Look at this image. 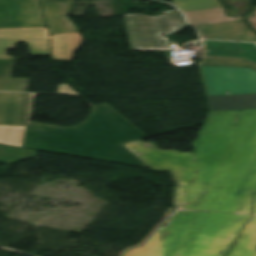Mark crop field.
Returning <instances> with one entry per match:
<instances>
[{"label":"crop field","instance_id":"crop-field-1","mask_svg":"<svg viewBox=\"0 0 256 256\" xmlns=\"http://www.w3.org/2000/svg\"><path fill=\"white\" fill-rule=\"evenodd\" d=\"M195 153L161 151L141 139L123 143L155 171L169 169L179 183L178 209L143 246L124 256H223L251 212L256 214V110L210 111ZM145 164V165H146ZM225 256H256V216Z\"/></svg>","mask_w":256,"mask_h":256},{"label":"crop field","instance_id":"crop-field-2","mask_svg":"<svg viewBox=\"0 0 256 256\" xmlns=\"http://www.w3.org/2000/svg\"><path fill=\"white\" fill-rule=\"evenodd\" d=\"M144 138L107 104L92 108L80 126L62 128L28 121L23 147L146 167L122 142Z\"/></svg>","mask_w":256,"mask_h":256},{"label":"crop field","instance_id":"crop-field-3","mask_svg":"<svg viewBox=\"0 0 256 256\" xmlns=\"http://www.w3.org/2000/svg\"><path fill=\"white\" fill-rule=\"evenodd\" d=\"M19 42L29 44L32 56H50L46 28L0 29V91H27L29 79L11 78L15 58L7 56V50Z\"/></svg>","mask_w":256,"mask_h":256},{"label":"crop field","instance_id":"crop-field-4","mask_svg":"<svg viewBox=\"0 0 256 256\" xmlns=\"http://www.w3.org/2000/svg\"><path fill=\"white\" fill-rule=\"evenodd\" d=\"M125 19L132 50H171L166 36L187 27L181 13L158 17L134 14Z\"/></svg>","mask_w":256,"mask_h":256},{"label":"crop field","instance_id":"crop-field-5","mask_svg":"<svg viewBox=\"0 0 256 256\" xmlns=\"http://www.w3.org/2000/svg\"><path fill=\"white\" fill-rule=\"evenodd\" d=\"M30 94L0 93V144L22 147Z\"/></svg>","mask_w":256,"mask_h":256},{"label":"crop field","instance_id":"crop-field-6","mask_svg":"<svg viewBox=\"0 0 256 256\" xmlns=\"http://www.w3.org/2000/svg\"><path fill=\"white\" fill-rule=\"evenodd\" d=\"M210 95L256 93V71L240 67L202 66Z\"/></svg>","mask_w":256,"mask_h":256},{"label":"crop field","instance_id":"crop-field-7","mask_svg":"<svg viewBox=\"0 0 256 256\" xmlns=\"http://www.w3.org/2000/svg\"><path fill=\"white\" fill-rule=\"evenodd\" d=\"M189 23L198 28L202 38L239 40L249 29L242 18L225 16L223 9L185 13Z\"/></svg>","mask_w":256,"mask_h":256},{"label":"crop field","instance_id":"crop-field-8","mask_svg":"<svg viewBox=\"0 0 256 256\" xmlns=\"http://www.w3.org/2000/svg\"><path fill=\"white\" fill-rule=\"evenodd\" d=\"M46 27L38 0H0V28Z\"/></svg>","mask_w":256,"mask_h":256},{"label":"crop field","instance_id":"crop-field-9","mask_svg":"<svg viewBox=\"0 0 256 256\" xmlns=\"http://www.w3.org/2000/svg\"><path fill=\"white\" fill-rule=\"evenodd\" d=\"M51 33L80 31L67 15L74 2L41 4Z\"/></svg>","mask_w":256,"mask_h":256},{"label":"crop field","instance_id":"crop-field-10","mask_svg":"<svg viewBox=\"0 0 256 256\" xmlns=\"http://www.w3.org/2000/svg\"><path fill=\"white\" fill-rule=\"evenodd\" d=\"M82 43L79 32L52 34L53 60L74 61Z\"/></svg>","mask_w":256,"mask_h":256},{"label":"crop field","instance_id":"crop-field-11","mask_svg":"<svg viewBox=\"0 0 256 256\" xmlns=\"http://www.w3.org/2000/svg\"><path fill=\"white\" fill-rule=\"evenodd\" d=\"M211 110L255 109L256 94L209 96Z\"/></svg>","mask_w":256,"mask_h":256},{"label":"crop field","instance_id":"crop-field-12","mask_svg":"<svg viewBox=\"0 0 256 256\" xmlns=\"http://www.w3.org/2000/svg\"><path fill=\"white\" fill-rule=\"evenodd\" d=\"M206 54L212 56L242 57L240 43L204 41Z\"/></svg>","mask_w":256,"mask_h":256},{"label":"crop field","instance_id":"crop-field-13","mask_svg":"<svg viewBox=\"0 0 256 256\" xmlns=\"http://www.w3.org/2000/svg\"><path fill=\"white\" fill-rule=\"evenodd\" d=\"M184 12L222 7L219 0H173Z\"/></svg>","mask_w":256,"mask_h":256},{"label":"crop field","instance_id":"crop-field-14","mask_svg":"<svg viewBox=\"0 0 256 256\" xmlns=\"http://www.w3.org/2000/svg\"><path fill=\"white\" fill-rule=\"evenodd\" d=\"M243 56L256 62V44L241 43Z\"/></svg>","mask_w":256,"mask_h":256},{"label":"crop field","instance_id":"crop-field-15","mask_svg":"<svg viewBox=\"0 0 256 256\" xmlns=\"http://www.w3.org/2000/svg\"><path fill=\"white\" fill-rule=\"evenodd\" d=\"M58 93L78 94L71 87H69L67 84H60L59 89H58Z\"/></svg>","mask_w":256,"mask_h":256},{"label":"crop field","instance_id":"crop-field-16","mask_svg":"<svg viewBox=\"0 0 256 256\" xmlns=\"http://www.w3.org/2000/svg\"><path fill=\"white\" fill-rule=\"evenodd\" d=\"M240 40L256 41V34L253 31L246 32Z\"/></svg>","mask_w":256,"mask_h":256},{"label":"crop field","instance_id":"crop-field-17","mask_svg":"<svg viewBox=\"0 0 256 256\" xmlns=\"http://www.w3.org/2000/svg\"><path fill=\"white\" fill-rule=\"evenodd\" d=\"M247 20L250 22V25L256 29V9L253 13L247 15Z\"/></svg>","mask_w":256,"mask_h":256},{"label":"crop field","instance_id":"crop-field-18","mask_svg":"<svg viewBox=\"0 0 256 256\" xmlns=\"http://www.w3.org/2000/svg\"><path fill=\"white\" fill-rule=\"evenodd\" d=\"M66 1H75V0H40L41 3H49V2H66Z\"/></svg>","mask_w":256,"mask_h":256}]
</instances>
